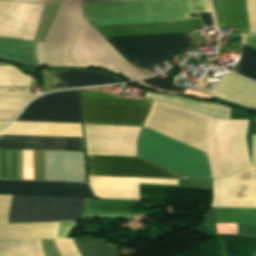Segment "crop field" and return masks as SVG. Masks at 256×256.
Returning <instances> with one entry per match:
<instances>
[{"label": "crop field", "instance_id": "2", "mask_svg": "<svg viewBox=\"0 0 256 256\" xmlns=\"http://www.w3.org/2000/svg\"><path fill=\"white\" fill-rule=\"evenodd\" d=\"M85 18L130 15L195 13L211 11L207 0H133L84 3ZM213 26L210 12L190 14ZM189 14H164L87 19L92 26L168 22L190 18ZM199 18L156 24L94 27L102 37L187 32L202 28ZM106 39L128 62L145 69L192 48L185 33L111 37Z\"/></svg>", "mask_w": 256, "mask_h": 256}, {"label": "crop field", "instance_id": "8", "mask_svg": "<svg viewBox=\"0 0 256 256\" xmlns=\"http://www.w3.org/2000/svg\"><path fill=\"white\" fill-rule=\"evenodd\" d=\"M95 196L114 199H139L138 183L177 185V180L88 176Z\"/></svg>", "mask_w": 256, "mask_h": 256}, {"label": "crop field", "instance_id": "24", "mask_svg": "<svg viewBox=\"0 0 256 256\" xmlns=\"http://www.w3.org/2000/svg\"><path fill=\"white\" fill-rule=\"evenodd\" d=\"M15 1H27V2L48 3V2L58 1V0H15Z\"/></svg>", "mask_w": 256, "mask_h": 256}, {"label": "crop field", "instance_id": "20", "mask_svg": "<svg viewBox=\"0 0 256 256\" xmlns=\"http://www.w3.org/2000/svg\"><path fill=\"white\" fill-rule=\"evenodd\" d=\"M51 256H80L72 239L44 240Z\"/></svg>", "mask_w": 256, "mask_h": 256}, {"label": "crop field", "instance_id": "21", "mask_svg": "<svg viewBox=\"0 0 256 256\" xmlns=\"http://www.w3.org/2000/svg\"><path fill=\"white\" fill-rule=\"evenodd\" d=\"M142 82H144L152 87H156V88H161V89L176 91V92H182V93L185 92V89H182V88L176 87V86H172V85L168 84L167 82H165L164 80H162L160 78H156V77L142 80Z\"/></svg>", "mask_w": 256, "mask_h": 256}, {"label": "crop field", "instance_id": "15", "mask_svg": "<svg viewBox=\"0 0 256 256\" xmlns=\"http://www.w3.org/2000/svg\"><path fill=\"white\" fill-rule=\"evenodd\" d=\"M145 97L160 99V100L180 104L189 108L202 111L214 117L228 118L229 108L223 107L214 103L186 99L181 97L163 96V95H157V94H152L148 92L146 93Z\"/></svg>", "mask_w": 256, "mask_h": 256}, {"label": "crop field", "instance_id": "9", "mask_svg": "<svg viewBox=\"0 0 256 256\" xmlns=\"http://www.w3.org/2000/svg\"><path fill=\"white\" fill-rule=\"evenodd\" d=\"M194 91L256 108V83L231 73H224L213 92L198 87Z\"/></svg>", "mask_w": 256, "mask_h": 256}, {"label": "crop field", "instance_id": "7", "mask_svg": "<svg viewBox=\"0 0 256 256\" xmlns=\"http://www.w3.org/2000/svg\"><path fill=\"white\" fill-rule=\"evenodd\" d=\"M0 194L95 198L84 183L0 180Z\"/></svg>", "mask_w": 256, "mask_h": 256}, {"label": "crop field", "instance_id": "26", "mask_svg": "<svg viewBox=\"0 0 256 256\" xmlns=\"http://www.w3.org/2000/svg\"><path fill=\"white\" fill-rule=\"evenodd\" d=\"M10 121H0V128L8 124Z\"/></svg>", "mask_w": 256, "mask_h": 256}, {"label": "crop field", "instance_id": "17", "mask_svg": "<svg viewBox=\"0 0 256 256\" xmlns=\"http://www.w3.org/2000/svg\"><path fill=\"white\" fill-rule=\"evenodd\" d=\"M73 241L81 256H118L114 245L106 243L107 240L74 238Z\"/></svg>", "mask_w": 256, "mask_h": 256}, {"label": "crop field", "instance_id": "13", "mask_svg": "<svg viewBox=\"0 0 256 256\" xmlns=\"http://www.w3.org/2000/svg\"><path fill=\"white\" fill-rule=\"evenodd\" d=\"M35 44L36 42L0 38V58L38 66Z\"/></svg>", "mask_w": 256, "mask_h": 256}, {"label": "crop field", "instance_id": "3", "mask_svg": "<svg viewBox=\"0 0 256 256\" xmlns=\"http://www.w3.org/2000/svg\"><path fill=\"white\" fill-rule=\"evenodd\" d=\"M152 75L125 61L83 18L81 0L62 1L43 43L36 45L39 66H100L110 68L132 80Z\"/></svg>", "mask_w": 256, "mask_h": 256}, {"label": "crop field", "instance_id": "23", "mask_svg": "<svg viewBox=\"0 0 256 256\" xmlns=\"http://www.w3.org/2000/svg\"><path fill=\"white\" fill-rule=\"evenodd\" d=\"M252 135H256V120L253 123ZM251 166H256V136H252V161Z\"/></svg>", "mask_w": 256, "mask_h": 256}, {"label": "crop field", "instance_id": "12", "mask_svg": "<svg viewBox=\"0 0 256 256\" xmlns=\"http://www.w3.org/2000/svg\"><path fill=\"white\" fill-rule=\"evenodd\" d=\"M32 98L29 87H0V120H12Z\"/></svg>", "mask_w": 256, "mask_h": 256}, {"label": "crop field", "instance_id": "25", "mask_svg": "<svg viewBox=\"0 0 256 256\" xmlns=\"http://www.w3.org/2000/svg\"><path fill=\"white\" fill-rule=\"evenodd\" d=\"M85 2H97V1H115V0H82Z\"/></svg>", "mask_w": 256, "mask_h": 256}, {"label": "crop field", "instance_id": "1", "mask_svg": "<svg viewBox=\"0 0 256 256\" xmlns=\"http://www.w3.org/2000/svg\"><path fill=\"white\" fill-rule=\"evenodd\" d=\"M79 93L83 123L141 125L150 109V101ZM159 101L152 100L144 125L205 154L207 150L212 179L250 166L246 147L249 120L208 118ZM81 108L78 90L51 93L31 102L16 120L82 123ZM145 126L138 145L140 156L187 179H211L207 155ZM140 128L84 125L87 154L135 155ZM87 160L89 175L186 179L139 156L87 155Z\"/></svg>", "mask_w": 256, "mask_h": 256}, {"label": "crop field", "instance_id": "18", "mask_svg": "<svg viewBox=\"0 0 256 256\" xmlns=\"http://www.w3.org/2000/svg\"><path fill=\"white\" fill-rule=\"evenodd\" d=\"M215 222L256 225V209H216Z\"/></svg>", "mask_w": 256, "mask_h": 256}, {"label": "crop field", "instance_id": "6", "mask_svg": "<svg viewBox=\"0 0 256 256\" xmlns=\"http://www.w3.org/2000/svg\"><path fill=\"white\" fill-rule=\"evenodd\" d=\"M44 5L0 0V37L33 41Z\"/></svg>", "mask_w": 256, "mask_h": 256}, {"label": "crop field", "instance_id": "16", "mask_svg": "<svg viewBox=\"0 0 256 256\" xmlns=\"http://www.w3.org/2000/svg\"><path fill=\"white\" fill-rule=\"evenodd\" d=\"M243 44L256 49V32L242 35ZM242 44L236 73L256 81V50Z\"/></svg>", "mask_w": 256, "mask_h": 256}, {"label": "crop field", "instance_id": "4", "mask_svg": "<svg viewBox=\"0 0 256 256\" xmlns=\"http://www.w3.org/2000/svg\"><path fill=\"white\" fill-rule=\"evenodd\" d=\"M11 196H0V223H7ZM84 199L12 196L8 223L76 221ZM138 201L85 199L84 214H131Z\"/></svg>", "mask_w": 256, "mask_h": 256}, {"label": "crop field", "instance_id": "14", "mask_svg": "<svg viewBox=\"0 0 256 256\" xmlns=\"http://www.w3.org/2000/svg\"><path fill=\"white\" fill-rule=\"evenodd\" d=\"M65 88L120 82L116 78L97 72L65 71L54 73Z\"/></svg>", "mask_w": 256, "mask_h": 256}, {"label": "crop field", "instance_id": "10", "mask_svg": "<svg viewBox=\"0 0 256 256\" xmlns=\"http://www.w3.org/2000/svg\"><path fill=\"white\" fill-rule=\"evenodd\" d=\"M220 27L241 25L242 33L256 31V0H213Z\"/></svg>", "mask_w": 256, "mask_h": 256}, {"label": "crop field", "instance_id": "11", "mask_svg": "<svg viewBox=\"0 0 256 256\" xmlns=\"http://www.w3.org/2000/svg\"><path fill=\"white\" fill-rule=\"evenodd\" d=\"M58 238L57 223L0 225V240Z\"/></svg>", "mask_w": 256, "mask_h": 256}, {"label": "crop field", "instance_id": "19", "mask_svg": "<svg viewBox=\"0 0 256 256\" xmlns=\"http://www.w3.org/2000/svg\"><path fill=\"white\" fill-rule=\"evenodd\" d=\"M30 79L12 66H0V86H29Z\"/></svg>", "mask_w": 256, "mask_h": 256}, {"label": "crop field", "instance_id": "22", "mask_svg": "<svg viewBox=\"0 0 256 256\" xmlns=\"http://www.w3.org/2000/svg\"><path fill=\"white\" fill-rule=\"evenodd\" d=\"M237 234L256 237V226L237 224Z\"/></svg>", "mask_w": 256, "mask_h": 256}, {"label": "crop field", "instance_id": "27", "mask_svg": "<svg viewBox=\"0 0 256 256\" xmlns=\"http://www.w3.org/2000/svg\"><path fill=\"white\" fill-rule=\"evenodd\" d=\"M253 256H256V251H255V253H254V255Z\"/></svg>", "mask_w": 256, "mask_h": 256}, {"label": "crop field", "instance_id": "5", "mask_svg": "<svg viewBox=\"0 0 256 256\" xmlns=\"http://www.w3.org/2000/svg\"><path fill=\"white\" fill-rule=\"evenodd\" d=\"M0 133L82 137L80 124L14 121ZM0 134V148L83 152L82 138Z\"/></svg>", "mask_w": 256, "mask_h": 256}]
</instances>
